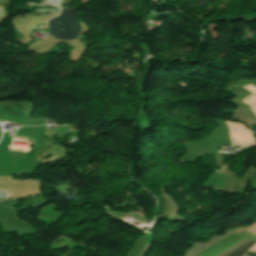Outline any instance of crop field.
I'll list each match as a JSON object with an SVG mask.
<instances>
[{
    "instance_id": "obj_3",
    "label": "crop field",
    "mask_w": 256,
    "mask_h": 256,
    "mask_svg": "<svg viewBox=\"0 0 256 256\" xmlns=\"http://www.w3.org/2000/svg\"><path fill=\"white\" fill-rule=\"evenodd\" d=\"M255 86H256V84H255Z\"/></svg>"
},
{
    "instance_id": "obj_2",
    "label": "crop field",
    "mask_w": 256,
    "mask_h": 256,
    "mask_svg": "<svg viewBox=\"0 0 256 256\" xmlns=\"http://www.w3.org/2000/svg\"><path fill=\"white\" fill-rule=\"evenodd\" d=\"M241 239H243V237H240L238 235L232 234L194 254H192L191 256H215L217 254H219L220 252H222L223 250L227 249L228 247L232 246L233 244L237 243L238 241H240ZM255 241H252L251 243H249L248 245H246L244 248H242L241 250H239L238 252H236L235 254L231 255V256H242L244 255L246 252L249 251V249L252 248V246L255 244ZM250 252H254L251 251ZM248 252L246 255L248 256H256V252L254 253H250Z\"/></svg>"
},
{
    "instance_id": "obj_1",
    "label": "crop field",
    "mask_w": 256,
    "mask_h": 256,
    "mask_svg": "<svg viewBox=\"0 0 256 256\" xmlns=\"http://www.w3.org/2000/svg\"><path fill=\"white\" fill-rule=\"evenodd\" d=\"M61 22L62 24H59ZM50 34L61 40L77 38L81 27L75 9H64L62 14L49 22ZM61 28H65L63 32Z\"/></svg>"
},
{
    "instance_id": "obj_4",
    "label": "crop field",
    "mask_w": 256,
    "mask_h": 256,
    "mask_svg": "<svg viewBox=\"0 0 256 256\" xmlns=\"http://www.w3.org/2000/svg\"><path fill=\"white\" fill-rule=\"evenodd\" d=\"M12 139V138H11Z\"/></svg>"
}]
</instances>
